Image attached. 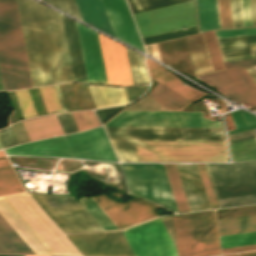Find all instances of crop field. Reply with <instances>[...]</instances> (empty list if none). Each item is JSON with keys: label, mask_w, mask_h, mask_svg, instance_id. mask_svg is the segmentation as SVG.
Returning <instances> with one entry per match:
<instances>
[{"label": "crop field", "mask_w": 256, "mask_h": 256, "mask_svg": "<svg viewBox=\"0 0 256 256\" xmlns=\"http://www.w3.org/2000/svg\"><path fill=\"white\" fill-rule=\"evenodd\" d=\"M177 256L220 254L214 211L160 218ZM160 219L119 231L134 256H175ZM119 232L66 235L84 256H132Z\"/></svg>", "instance_id": "obj_1"}, {"label": "crop field", "mask_w": 256, "mask_h": 256, "mask_svg": "<svg viewBox=\"0 0 256 256\" xmlns=\"http://www.w3.org/2000/svg\"><path fill=\"white\" fill-rule=\"evenodd\" d=\"M33 87L73 81L61 14L16 0Z\"/></svg>", "instance_id": "obj_2"}, {"label": "crop field", "mask_w": 256, "mask_h": 256, "mask_svg": "<svg viewBox=\"0 0 256 256\" xmlns=\"http://www.w3.org/2000/svg\"><path fill=\"white\" fill-rule=\"evenodd\" d=\"M105 125L223 127L222 121L191 111H123ZM103 127L109 139L225 140L223 128Z\"/></svg>", "instance_id": "obj_3"}, {"label": "crop field", "mask_w": 256, "mask_h": 256, "mask_svg": "<svg viewBox=\"0 0 256 256\" xmlns=\"http://www.w3.org/2000/svg\"><path fill=\"white\" fill-rule=\"evenodd\" d=\"M0 214L35 254L81 256L27 193L0 197Z\"/></svg>", "instance_id": "obj_4"}, {"label": "crop field", "mask_w": 256, "mask_h": 256, "mask_svg": "<svg viewBox=\"0 0 256 256\" xmlns=\"http://www.w3.org/2000/svg\"><path fill=\"white\" fill-rule=\"evenodd\" d=\"M120 162H226L225 141L110 140Z\"/></svg>", "instance_id": "obj_5"}, {"label": "crop field", "mask_w": 256, "mask_h": 256, "mask_svg": "<svg viewBox=\"0 0 256 256\" xmlns=\"http://www.w3.org/2000/svg\"><path fill=\"white\" fill-rule=\"evenodd\" d=\"M0 71V91L32 87L15 0H0Z\"/></svg>", "instance_id": "obj_6"}, {"label": "crop field", "mask_w": 256, "mask_h": 256, "mask_svg": "<svg viewBox=\"0 0 256 256\" xmlns=\"http://www.w3.org/2000/svg\"><path fill=\"white\" fill-rule=\"evenodd\" d=\"M188 0H127L132 13ZM142 38L197 25L194 0L132 14Z\"/></svg>", "instance_id": "obj_7"}, {"label": "crop field", "mask_w": 256, "mask_h": 256, "mask_svg": "<svg viewBox=\"0 0 256 256\" xmlns=\"http://www.w3.org/2000/svg\"><path fill=\"white\" fill-rule=\"evenodd\" d=\"M204 165L218 208L256 203V162Z\"/></svg>", "instance_id": "obj_8"}, {"label": "crop field", "mask_w": 256, "mask_h": 256, "mask_svg": "<svg viewBox=\"0 0 256 256\" xmlns=\"http://www.w3.org/2000/svg\"><path fill=\"white\" fill-rule=\"evenodd\" d=\"M117 39L143 51L125 0H102ZM101 0H76L83 20L114 36Z\"/></svg>", "instance_id": "obj_9"}, {"label": "crop field", "mask_w": 256, "mask_h": 256, "mask_svg": "<svg viewBox=\"0 0 256 256\" xmlns=\"http://www.w3.org/2000/svg\"><path fill=\"white\" fill-rule=\"evenodd\" d=\"M120 165L130 193L178 213L162 164Z\"/></svg>", "instance_id": "obj_10"}, {"label": "crop field", "mask_w": 256, "mask_h": 256, "mask_svg": "<svg viewBox=\"0 0 256 256\" xmlns=\"http://www.w3.org/2000/svg\"><path fill=\"white\" fill-rule=\"evenodd\" d=\"M29 194L63 233L103 230L74 197Z\"/></svg>", "instance_id": "obj_11"}, {"label": "crop field", "mask_w": 256, "mask_h": 256, "mask_svg": "<svg viewBox=\"0 0 256 256\" xmlns=\"http://www.w3.org/2000/svg\"><path fill=\"white\" fill-rule=\"evenodd\" d=\"M198 78L220 90L231 99L243 104L248 103L256 110V83L245 68L223 70Z\"/></svg>", "instance_id": "obj_12"}, {"label": "crop field", "mask_w": 256, "mask_h": 256, "mask_svg": "<svg viewBox=\"0 0 256 256\" xmlns=\"http://www.w3.org/2000/svg\"><path fill=\"white\" fill-rule=\"evenodd\" d=\"M92 199L119 229L157 216L158 214V205L137 198H132L131 201L124 204L109 200L104 194L92 197Z\"/></svg>", "instance_id": "obj_13"}, {"label": "crop field", "mask_w": 256, "mask_h": 256, "mask_svg": "<svg viewBox=\"0 0 256 256\" xmlns=\"http://www.w3.org/2000/svg\"><path fill=\"white\" fill-rule=\"evenodd\" d=\"M66 139L75 158L117 162L101 127L68 135Z\"/></svg>", "instance_id": "obj_14"}, {"label": "crop field", "mask_w": 256, "mask_h": 256, "mask_svg": "<svg viewBox=\"0 0 256 256\" xmlns=\"http://www.w3.org/2000/svg\"><path fill=\"white\" fill-rule=\"evenodd\" d=\"M98 35L108 84L132 85L125 47Z\"/></svg>", "instance_id": "obj_15"}, {"label": "crop field", "mask_w": 256, "mask_h": 256, "mask_svg": "<svg viewBox=\"0 0 256 256\" xmlns=\"http://www.w3.org/2000/svg\"><path fill=\"white\" fill-rule=\"evenodd\" d=\"M76 24L88 82L107 84L97 33Z\"/></svg>", "instance_id": "obj_16"}, {"label": "crop field", "mask_w": 256, "mask_h": 256, "mask_svg": "<svg viewBox=\"0 0 256 256\" xmlns=\"http://www.w3.org/2000/svg\"><path fill=\"white\" fill-rule=\"evenodd\" d=\"M190 210L211 209L196 164H175Z\"/></svg>", "instance_id": "obj_17"}, {"label": "crop field", "mask_w": 256, "mask_h": 256, "mask_svg": "<svg viewBox=\"0 0 256 256\" xmlns=\"http://www.w3.org/2000/svg\"><path fill=\"white\" fill-rule=\"evenodd\" d=\"M7 155H42L74 158L64 136L5 149Z\"/></svg>", "instance_id": "obj_18"}, {"label": "crop field", "mask_w": 256, "mask_h": 256, "mask_svg": "<svg viewBox=\"0 0 256 256\" xmlns=\"http://www.w3.org/2000/svg\"><path fill=\"white\" fill-rule=\"evenodd\" d=\"M156 45L162 62L195 77L184 38Z\"/></svg>", "instance_id": "obj_19"}, {"label": "crop field", "mask_w": 256, "mask_h": 256, "mask_svg": "<svg viewBox=\"0 0 256 256\" xmlns=\"http://www.w3.org/2000/svg\"><path fill=\"white\" fill-rule=\"evenodd\" d=\"M62 18L73 72V78L75 81L86 82L76 24L74 21L64 16H62Z\"/></svg>", "instance_id": "obj_20"}, {"label": "crop field", "mask_w": 256, "mask_h": 256, "mask_svg": "<svg viewBox=\"0 0 256 256\" xmlns=\"http://www.w3.org/2000/svg\"><path fill=\"white\" fill-rule=\"evenodd\" d=\"M31 141L64 134L55 115L22 120Z\"/></svg>", "instance_id": "obj_21"}, {"label": "crop field", "mask_w": 256, "mask_h": 256, "mask_svg": "<svg viewBox=\"0 0 256 256\" xmlns=\"http://www.w3.org/2000/svg\"><path fill=\"white\" fill-rule=\"evenodd\" d=\"M186 43L190 53L195 75L212 72V66L208 56L203 34L186 37Z\"/></svg>", "instance_id": "obj_22"}, {"label": "crop field", "mask_w": 256, "mask_h": 256, "mask_svg": "<svg viewBox=\"0 0 256 256\" xmlns=\"http://www.w3.org/2000/svg\"><path fill=\"white\" fill-rule=\"evenodd\" d=\"M146 63L151 77L168 86L169 88L173 89L174 91L186 97L187 99L193 101L205 95L204 93L195 91L187 87L186 85L184 86L176 77H174L168 72L166 73L164 69L154 64L152 61L146 60Z\"/></svg>", "instance_id": "obj_23"}, {"label": "crop field", "mask_w": 256, "mask_h": 256, "mask_svg": "<svg viewBox=\"0 0 256 256\" xmlns=\"http://www.w3.org/2000/svg\"><path fill=\"white\" fill-rule=\"evenodd\" d=\"M0 253L34 254L1 215Z\"/></svg>", "instance_id": "obj_24"}, {"label": "crop field", "mask_w": 256, "mask_h": 256, "mask_svg": "<svg viewBox=\"0 0 256 256\" xmlns=\"http://www.w3.org/2000/svg\"><path fill=\"white\" fill-rule=\"evenodd\" d=\"M88 86L97 109L127 103L123 88Z\"/></svg>", "instance_id": "obj_25"}, {"label": "crop field", "mask_w": 256, "mask_h": 256, "mask_svg": "<svg viewBox=\"0 0 256 256\" xmlns=\"http://www.w3.org/2000/svg\"><path fill=\"white\" fill-rule=\"evenodd\" d=\"M220 47L256 44V35L217 39ZM223 57L256 54V45L220 48Z\"/></svg>", "instance_id": "obj_26"}, {"label": "crop field", "mask_w": 256, "mask_h": 256, "mask_svg": "<svg viewBox=\"0 0 256 256\" xmlns=\"http://www.w3.org/2000/svg\"><path fill=\"white\" fill-rule=\"evenodd\" d=\"M200 32L220 29L217 0H196Z\"/></svg>", "instance_id": "obj_27"}, {"label": "crop field", "mask_w": 256, "mask_h": 256, "mask_svg": "<svg viewBox=\"0 0 256 256\" xmlns=\"http://www.w3.org/2000/svg\"><path fill=\"white\" fill-rule=\"evenodd\" d=\"M243 27L256 26V0H240ZM239 0H230L233 28L242 27Z\"/></svg>", "instance_id": "obj_28"}, {"label": "crop field", "mask_w": 256, "mask_h": 256, "mask_svg": "<svg viewBox=\"0 0 256 256\" xmlns=\"http://www.w3.org/2000/svg\"><path fill=\"white\" fill-rule=\"evenodd\" d=\"M146 96L169 109H179L191 102L160 83L152 88Z\"/></svg>", "instance_id": "obj_29"}, {"label": "crop field", "mask_w": 256, "mask_h": 256, "mask_svg": "<svg viewBox=\"0 0 256 256\" xmlns=\"http://www.w3.org/2000/svg\"><path fill=\"white\" fill-rule=\"evenodd\" d=\"M219 235L256 231V215L217 220Z\"/></svg>", "instance_id": "obj_30"}, {"label": "crop field", "mask_w": 256, "mask_h": 256, "mask_svg": "<svg viewBox=\"0 0 256 256\" xmlns=\"http://www.w3.org/2000/svg\"><path fill=\"white\" fill-rule=\"evenodd\" d=\"M24 191L3 151H0V195Z\"/></svg>", "instance_id": "obj_31"}, {"label": "crop field", "mask_w": 256, "mask_h": 256, "mask_svg": "<svg viewBox=\"0 0 256 256\" xmlns=\"http://www.w3.org/2000/svg\"><path fill=\"white\" fill-rule=\"evenodd\" d=\"M179 213L188 212L189 207L174 164H163Z\"/></svg>", "instance_id": "obj_32"}, {"label": "crop field", "mask_w": 256, "mask_h": 256, "mask_svg": "<svg viewBox=\"0 0 256 256\" xmlns=\"http://www.w3.org/2000/svg\"><path fill=\"white\" fill-rule=\"evenodd\" d=\"M233 162L256 160V139L229 144Z\"/></svg>", "instance_id": "obj_33"}, {"label": "crop field", "mask_w": 256, "mask_h": 256, "mask_svg": "<svg viewBox=\"0 0 256 256\" xmlns=\"http://www.w3.org/2000/svg\"><path fill=\"white\" fill-rule=\"evenodd\" d=\"M133 85L149 84L143 56L126 48Z\"/></svg>", "instance_id": "obj_34"}, {"label": "crop field", "mask_w": 256, "mask_h": 256, "mask_svg": "<svg viewBox=\"0 0 256 256\" xmlns=\"http://www.w3.org/2000/svg\"><path fill=\"white\" fill-rule=\"evenodd\" d=\"M221 248L256 244V232L219 236Z\"/></svg>", "instance_id": "obj_35"}, {"label": "crop field", "mask_w": 256, "mask_h": 256, "mask_svg": "<svg viewBox=\"0 0 256 256\" xmlns=\"http://www.w3.org/2000/svg\"><path fill=\"white\" fill-rule=\"evenodd\" d=\"M80 203L94 217L104 230L118 229L110 219L98 208L91 198H79ZM94 212L98 214L95 215Z\"/></svg>", "instance_id": "obj_36"}, {"label": "crop field", "mask_w": 256, "mask_h": 256, "mask_svg": "<svg viewBox=\"0 0 256 256\" xmlns=\"http://www.w3.org/2000/svg\"><path fill=\"white\" fill-rule=\"evenodd\" d=\"M242 114H243V117L245 119V122L248 126H246L239 110L238 111H234V112H231L230 115L232 117V120L237 128V130H234V131H229L227 132V134L229 133H235V132H241V131H246V130H250V129H254L256 128V117L241 110Z\"/></svg>", "instance_id": "obj_37"}, {"label": "crop field", "mask_w": 256, "mask_h": 256, "mask_svg": "<svg viewBox=\"0 0 256 256\" xmlns=\"http://www.w3.org/2000/svg\"><path fill=\"white\" fill-rule=\"evenodd\" d=\"M203 34H204V38L208 48L213 70L215 71V70L223 69L217 44L215 41L214 33L210 31V32H205Z\"/></svg>", "instance_id": "obj_38"}, {"label": "crop field", "mask_w": 256, "mask_h": 256, "mask_svg": "<svg viewBox=\"0 0 256 256\" xmlns=\"http://www.w3.org/2000/svg\"><path fill=\"white\" fill-rule=\"evenodd\" d=\"M71 114L79 131L100 125L91 111L75 112Z\"/></svg>", "instance_id": "obj_39"}, {"label": "crop field", "mask_w": 256, "mask_h": 256, "mask_svg": "<svg viewBox=\"0 0 256 256\" xmlns=\"http://www.w3.org/2000/svg\"><path fill=\"white\" fill-rule=\"evenodd\" d=\"M41 1L82 20L74 0H41Z\"/></svg>", "instance_id": "obj_40"}, {"label": "crop field", "mask_w": 256, "mask_h": 256, "mask_svg": "<svg viewBox=\"0 0 256 256\" xmlns=\"http://www.w3.org/2000/svg\"><path fill=\"white\" fill-rule=\"evenodd\" d=\"M39 90L48 113L62 111L53 87Z\"/></svg>", "instance_id": "obj_41"}, {"label": "crop field", "mask_w": 256, "mask_h": 256, "mask_svg": "<svg viewBox=\"0 0 256 256\" xmlns=\"http://www.w3.org/2000/svg\"><path fill=\"white\" fill-rule=\"evenodd\" d=\"M20 106L23 117L34 116L35 111L27 90L14 92Z\"/></svg>", "instance_id": "obj_42"}, {"label": "crop field", "mask_w": 256, "mask_h": 256, "mask_svg": "<svg viewBox=\"0 0 256 256\" xmlns=\"http://www.w3.org/2000/svg\"><path fill=\"white\" fill-rule=\"evenodd\" d=\"M195 33H198L197 26L192 27V28H188V29L177 30V31L167 33V34H162V35H158V36L144 38L142 40H143L144 44H147V43H152V42H157V41H161V40L181 37V36L195 34Z\"/></svg>", "instance_id": "obj_43"}, {"label": "crop field", "mask_w": 256, "mask_h": 256, "mask_svg": "<svg viewBox=\"0 0 256 256\" xmlns=\"http://www.w3.org/2000/svg\"><path fill=\"white\" fill-rule=\"evenodd\" d=\"M254 214H256V206L216 211L217 219Z\"/></svg>", "instance_id": "obj_44"}, {"label": "crop field", "mask_w": 256, "mask_h": 256, "mask_svg": "<svg viewBox=\"0 0 256 256\" xmlns=\"http://www.w3.org/2000/svg\"><path fill=\"white\" fill-rule=\"evenodd\" d=\"M221 29L232 28L229 0H218Z\"/></svg>", "instance_id": "obj_45"}, {"label": "crop field", "mask_w": 256, "mask_h": 256, "mask_svg": "<svg viewBox=\"0 0 256 256\" xmlns=\"http://www.w3.org/2000/svg\"><path fill=\"white\" fill-rule=\"evenodd\" d=\"M65 134L77 132V128L70 113L56 115Z\"/></svg>", "instance_id": "obj_46"}, {"label": "crop field", "mask_w": 256, "mask_h": 256, "mask_svg": "<svg viewBox=\"0 0 256 256\" xmlns=\"http://www.w3.org/2000/svg\"><path fill=\"white\" fill-rule=\"evenodd\" d=\"M0 141L4 148L19 144L10 126L0 130Z\"/></svg>", "instance_id": "obj_47"}, {"label": "crop field", "mask_w": 256, "mask_h": 256, "mask_svg": "<svg viewBox=\"0 0 256 256\" xmlns=\"http://www.w3.org/2000/svg\"><path fill=\"white\" fill-rule=\"evenodd\" d=\"M215 33H216L217 38L241 36V35H251V34H256V27L255 28H245V29L215 31Z\"/></svg>", "instance_id": "obj_48"}, {"label": "crop field", "mask_w": 256, "mask_h": 256, "mask_svg": "<svg viewBox=\"0 0 256 256\" xmlns=\"http://www.w3.org/2000/svg\"><path fill=\"white\" fill-rule=\"evenodd\" d=\"M197 165H198V168H199V171H200V174H201L204 186H205V190H206V193H207V196H208L211 208L212 209L213 208H217L216 204H215V201H214V197H213L211 188H210V184H209L206 172H205L204 165L203 164H197Z\"/></svg>", "instance_id": "obj_49"}, {"label": "crop field", "mask_w": 256, "mask_h": 256, "mask_svg": "<svg viewBox=\"0 0 256 256\" xmlns=\"http://www.w3.org/2000/svg\"><path fill=\"white\" fill-rule=\"evenodd\" d=\"M123 107H115V108H108V109H100L95 110L100 122L104 124L107 122L111 117H113L115 114H117L120 110H122Z\"/></svg>", "instance_id": "obj_50"}, {"label": "crop field", "mask_w": 256, "mask_h": 256, "mask_svg": "<svg viewBox=\"0 0 256 256\" xmlns=\"http://www.w3.org/2000/svg\"><path fill=\"white\" fill-rule=\"evenodd\" d=\"M227 136H228L229 143H231L235 141L251 139L253 137H256V132L255 130H252V131H246L241 133L229 134Z\"/></svg>", "instance_id": "obj_51"}, {"label": "crop field", "mask_w": 256, "mask_h": 256, "mask_svg": "<svg viewBox=\"0 0 256 256\" xmlns=\"http://www.w3.org/2000/svg\"><path fill=\"white\" fill-rule=\"evenodd\" d=\"M146 88H147V86L124 88L126 97H127V101L129 102V101L135 99L136 97L140 96L146 90Z\"/></svg>", "instance_id": "obj_52"}, {"label": "crop field", "mask_w": 256, "mask_h": 256, "mask_svg": "<svg viewBox=\"0 0 256 256\" xmlns=\"http://www.w3.org/2000/svg\"><path fill=\"white\" fill-rule=\"evenodd\" d=\"M226 68L256 65V59L224 62Z\"/></svg>", "instance_id": "obj_53"}, {"label": "crop field", "mask_w": 256, "mask_h": 256, "mask_svg": "<svg viewBox=\"0 0 256 256\" xmlns=\"http://www.w3.org/2000/svg\"><path fill=\"white\" fill-rule=\"evenodd\" d=\"M256 250V245L221 249L222 254Z\"/></svg>", "instance_id": "obj_54"}, {"label": "crop field", "mask_w": 256, "mask_h": 256, "mask_svg": "<svg viewBox=\"0 0 256 256\" xmlns=\"http://www.w3.org/2000/svg\"><path fill=\"white\" fill-rule=\"evenodd\" d=\"M248 58H256V55L228 57V58H223V60L228 61V60H238V59H248Z\"/></svg>", "instance_id": "obj_55"}, {"label": "crop field", "mask_w": 256, "mask_h": 256, "mask_svg": "<svg viewBox=\"0 0 256 256\" xmlns=\"http://www.w3.org/2000/svg\"><path fill=\"white\" fill-rule=\"evenodd\" d=\"M54 87H55V90H56V93H57L58 99H59V101H60V104H61L62 110H63V111H66V110H65V107H64V104H63V101H62V98H61V95H60V93H59L58 87H57V86H54Z\"/></svg>", "instance_id": "obj_56"}, {"label": "crop field", "mask_w": 256, "mask_h": 256, "mask_svg": "<svg viewBox=\"0 0 256 256\" xmlns=\"http://www.w3.org/2000/svg\"><path fill=\"white\" fill-rule=\"evenodd\" d=\"M246 70L249 72V74L252 76V78L256 82V71L253 69V67H248L246 68Z\"/></svg>", "instance_id": "obj_57"}, {"label": "crop field", "mask_w": 256, "mask_h": 256, "mask_svg": "<svg viewBox=\"0 0 256 256\" xmlns=\"http://www.w3.org/2000/svg\"><path fill=\"white\" fill-rule=\"evenodd\" d=\"M239 256H256V252L239 254Z\"/></svg>", "instance_id": "obj_58"}, {"label": "crop field", "mask_w": 256, "mask_h": 256, "mask_svg": "<svg viewBox=\"0 0 256 256\" xmlns=\"http://www.w3.org/2000/svg\"><path fill=\"white\" fill-rule=\"evenodd\" d=\"M217 101L219 102V104H220L221 108H223V107H224L225 112H227L228 110H227V108H226V106H225L224 102L219 101V100H217Z\"/></svg>", "instance_id": "obj_59"}, {"label": "crop field", "mask_w": 256, "mask_h": 256, "mask_svg": "<svg viewBox=\"0 0 256 256\" xmlns=\"http://www.w3.org/2000/svg\"><path fill=\"white\" fill-rule=\"evenodd\" d=\"M224 256H237V254H232V255H224Z\"/></svg>", "instance_id": "obj_60"}, {"label": "crop field", "mask_w": 256, "mask_h": 256, "mask_svg": "<svg viewBox=\"0 0 256 256\" xmlns=\"http://www.w3.org/2000/svg\"><path fill=\"white\" fill-rule=\"evenodd\" d=\"M0 256H8V255H0Z\"/></svg>", "instance_id": "obj_61"}, {"label": "crop field", "mask_w": 256, "mask_h": 256, "mask_svg": "<svg viewBox=\"0 0 256 256\" xmlns=\"http://www.w3.org/2000/svg\"><path fill=\"white\" fill-rule=\"evenodd\" d=\"M0 149H2V146H1V144H0Z\"/></svg>", "instance_id": "obj_62"}]
</instances>
